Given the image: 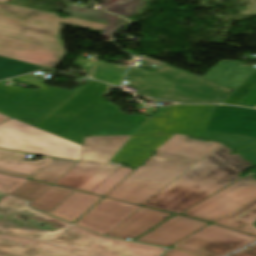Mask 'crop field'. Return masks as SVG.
<instances>
[{"label": "crop field", "instance_id": "obj_1", "mask_svg": "<svg viewBox=\"0 0 256 256\" xmlns=\"http://www.w3.org/2000/svg\"><path fill=\"white\" fill-rule=\"evenodd\" d=\"M66 24L103 31L106 24L0 3V56L53 69L66 54Z\"/></svg>", "mask_w": 256, "mask_h": 256}, {"label": "crop field", "instance_id": "obj_2", "mask_svg": "<svg viewBox=\"0 0 256 256\" xmlns=\"http://www.w3.org/2000/svg\"><path fill=\"white\" fill-rule=\"evenodd\" d=\"M112 87L89 81L35 127L82 145L85 136L134 135L150 119L128 116L106 102L104 94Z\"/></svg>", "mask_w": 256, "mask_h": 256}, {"label": "crop field", "instance_id": "obj_3", "mask_svg": "<svg viewBox=\"0 0 256 256\" xmlns=\"http://www.w3.org/2000/svg\"><path fill=\"white\" fill-rule=\"evenodd\" d=\"M230 153L220 144L143 205L182 213L237 181L251 163Z\"/></svg>", "mask_w": 256, "mask_h": 256}, {"label": "crop field", "instance_id": "obj_4", "mask_svg": "<svg viewBox=\"0 0 256 256\" xmlns=\"http://www.w3.org/2000/svg\"><path fill=\"white\" fill-rule=\"evenodd\" d=\"M218 144L174 135L157 149L159 152L151 160L139 166L107 197L141 205Z\"/></svg>", "mask_w": 256, "mask_h": 256}, {"label": "crop field", "instance_id": "obj_5", "mask_svg": "<svg viewBox=\"0 0 256 256\" xmlns=\"http://www.w3.org/2000/svg\"><path fill=\"white\" fill-rule=\"evenodd\" d=\"M124 82L146 90L149 96L185 103H219L232 91L170 66L154 72L132 67Z\"/></svg>", "mask_w": 256, "mask_h": 256}, {"label": "crop field", "instance_id": "obj_6", "mask_svg": "<svg viewBox=\"0 0 256 256\" xmlns=\"http://www.w3.org/2000/svg\"><path fill=\"white\" fill-rule=\"evenodd\" d=\"M78 237L79 234L64 232L55 238L64 241V243H56L46 239L45 236L9 233L0 230V243L2 244L40 249L25 253L23 256H160L165 251L162 248L107 237L104 238L132 249L131 255L122 254L106 245L97 246L89 250L94 247L95 243L80 240ZM0 256L18 255L0 254Z\"/></svg>", "mask_w": 256, "mask_h": 256}, {"label": "crop field", "instance_id": "obj_7", "mask_svg": "<svg viewBox=\"0 0 256 256\" xmlns=\"http://www.w3.org/2000/svg\"><path fill=\"white\" fill-rule=\"evenodd\" d=\"M14 79L37 85L40 89L9 87L0 83V112L32 126L75 94L73 91L45 85V80L29 75Z\"/></svg>", "mask_w": 256, "mask_h": 256}, {"label": "crop field", "instance_id": "obj_8", "mask_svg": "<svg viewBox=\"0 0 256 256\" xmlns=\"http://www.w3.org/2000/svg\"><path fill=\"white\" fill-rule=\"evenodd\" d=\"M82 147L13 118L0 124V148L79 161Z\"/></svg>", "mask_w": 256, "mask_h": 256}, {"label": "crop field", "instance_id": "obj_9", "mask_svg": "<svg viewBox=\"0 0 256 256\" xmlns=\"http://www.w3.org/2000/svg\"><path fill=\"white\" fill-rule=\"evenodd\" d=\"M205 138L219 140L233 149L256 143V110L217 105Z\"/></svg>", "mask_w": 256, "mask_h": 256}, {"label": "crop field", "instance_id": "obj_10", "mask_svg": "<svg viewBox=\"0 0 256 256\" xmlns=\"http://www.w3.org/2000/svg\"><path fill=\"white\" fill-rule=\"evenodd\" d=\"M254 172L210 196L199 204L183 212L208 221H216L238 207L256 198Z\"/></svg>", "mask_w": 256, "mask_h": 256}, {"label": "crop field", "instance_id": "obj_11", "mask_svg": "<svg viewBox=\"0 0 256 256\" xmlns=\"http://www.w3.org/2000/svg\"><path fill=\"white\" fill-rule=\"evenodd\" d=\"M254 241V236L211 224L174 247L200 256H223Z\"/></svg>", "mask_w": 256, "mask_h": 256}, {"label": "crop field", "instance_id": "obj_12", "mask_svg": "<svg viewBox=\"0 0 256 256\" xmlns=\"http://www.w3.org/2000/svg\"><path fill=\"white\" fill-rule=\"evenodd\" d=\"M138 208L105 198L76 224L106 235Z\"/></svg>", "mask_w": 256, "mask_h": 256}, {"label": "crop field", "instance_id": "obj_13", "mask_svg": "<svg viewBox=\"0 0 256 256\" xmlns=\"http://www.w3.org/2000/svg\"><path fill=\"white\" fill-rule=\"evenodd\" d=\"M207 224L209 223L177 215L136 241L169 247Z\"/></svg>", "mask_w": 256, "mask_h": 256}, {"label": "crop field", "instance_id": "obj_14", "mask_svg": "<svg viewBox=\"0 0 256 256\" xmlns=\"http://www.w3.org/2000/svg\"><path fill=\"white\" fill-rule=\"evenodd\" d=\"M170 215L172 214L141 207L107 235L135 239Z\"/></svg>", "mask_w": 256, "mask_h": 256}, {"label": "crop field", "instance_id": "obj_15", "mask_svg": "<svg viewBox=\"0 0 256 256\" xmlns=\"http://www.w3.org/2000/svg\"><path fill=\"white\" fill-rule=\"evenodd\" d=\"M131 136L86 138L81 153L82 162L106 164L110 162Z\"/></svg>", "mask_w": 256, "mask_h": 256}, {"label": "crop field", "instance_id": "obj_16", "mask_svg": "<svg viewBox=\"0 0 256 256\" xmlns=\"http://www.w3.org/2000/svg\"><path fill=\"white\" fill-rule=\"evenodd\" d=\"M26 154L0 149V171L31 178L53 159H44L37 162L23 160Z\"/></svg>", "mask_w": 256, "mask_h": 256}, {"label": "crop field", "instance_id": "obj_17", "mask_svg": "<svg viewBox=\"0 0 256 256\" xmlns=\"http://www.w3.org/2000/svg\"><path fill=\"white\" fill-rule=\"evenodd\" d=\"M252 70L235 61H220L202 77L234 89Z\"/></svg>", "mask_w": 256, "mask_h": 256}, {"label": "crop field", "instance_id": "obj_18", "mask_svg": "<svg viewBox=\"0 0 256 256\" xmlns=\"http://www.w3.org/2000/svg\"><path fill=\"white\" fill-rule=\"evenodd\" d=\"M102 197L75 191L50 214L73 223Z\"/></svg>", "mask_w": 256, "mask_h": 256}, {"label": "crop field", "instance_id": "obj_19", "mask_svg": "<svg viewBox=\"0 0 256 256\" xmlns=\"http://www.w3.org/2000/svg\"><path fill=\"white\" fill-rule=\"evenodd\" d=\"M255 221L256 199L215 223L256 235V227L252 225Z\"/></svg>", "mask_w": 256, "mask_h": 256}, {"label": "crop field", "instance_id": "obj_20", "mask_svg": "<svg viewBox=\"0 0 256 256\" xmlns=\"http://www.w3.org/2000/svg\"><path fill=\"white\" fill-rule=\"evenodd\" d=\"M21 210H28V211L37 213V214H39L41 216H44V217H46V218H48L50 220H53V221H55V222L65 226V229L60 230V231H56V232L10 231V230H6V229H2L3 231L46 235L47 238L51 239L52 241H57V242H62V241H58V240H55L53 238L56 237L57 235L61 234L62 232H64V231L75 232V233L81 234L80 239H84V240H88V241H91V242H95V243H97L96 245L106 244V245H109L111 247H114V248L118 249L119 251H121L123 253H127V254L131 253L130 249L122 248V247L116 245L115 243H113L111 241L102 239L104 236H101V235H98V234H94V233L82 230V229H80V228H78L76 226L68 225V224L63 223L61 221L55 220L56 218L53 219V218H51V217H49L47 215L41 214V213H39V212H37V211L27 207V206H25Z\"/></svg>", "mask_w": 256, "mask_h": 256}, {"label": "crop field", "instance_id": "obj_21", "mask_svg": "<svg viewBox=\"0 0 256 256\" xmlns=\"http://www.w3.org/2000/svg\"><path fill=\"white\" fill-rule=\"evenodd\" d=\"M103 166L104 165L78 162L54 184L77 189Z\"/></svg>", "mask_w": 256, "mask_h": 256}, {"label": "crop field", "instance_id": "obj_22", "mask_svg": "<svg viewBox=\"0 0 256 256\" xmlns=\"http://www.w3.org/2000/svg\"><path fill=\"white\" fill-rule=\"evenodd\" d=\"M71 192V190L51 186L29 205L39 211L48 213Z\"/></svg>", "mask_w": 256, "mask_h": 256}, {"label": "crop field", "instance_id": "obj_23", "mask_svg": "<svg viewBox=\"0 0 256 256\" xmlns=\"http://www.w3.org/2000/svg\"><path fill=\"white\" fill-rule=\"evenodd\" d=\"M77 162L59 160L55 159L52 163L46 166L38 174H36L32 179L40 180L43 182L53 184L61 176H63L71 167H73Z\"/></svg>", "mask_w": 256, "mask_h": 256}, {"label": "crop field", "instance_id": "obj_24", "mask_svg": "<svg viewBox=\"0 0 256 256\" xmlns=\"http://www.w3.org/2000/svg\"><path fill=\"white\" fill-rule=\"evenodd\" d=\"M45 69L43 67L0 57V79Z\"/></svg>", "mask_w": 256, "mask_h": 256}, {"label": "crop field", "instance_id": "obj_25", "mask_svg": "<svg viewBox=\"0 0 256 256\" xmlns=\"http://www.w3.org/2000/svg\"><path fill=\"white\" fill-rule=\"evenodd\" d=\"M48 187H50V185L29 180L16 191H14L12 194H10V196L31 202L43 191H45Z\"/></svg>", "mask_w": 256, "mask_h": 256}, {"label": "crop field", "instance_id": "obj_26", "mask_svg": "<svg viewBox=\"0 0 256 256\" xmlns=\"http://www.w3.org/2000/svg\"><path fill=\"white\" fill-rule=\"evenodd\" d=\"M120 166L121 164H117L113 162L106 164L103 168H101L96 174H94L88 181H86L78 189L91 192Z\"/></svg>", "mask_w": 256, "mask_h": 256}, {"label": "crop field", "instance_id": "obj_27", "mask_svg": "<svg viewBox=\"0 0 256 256\" xmlns=\"http://www.w3.org/2000/svg\"><path fill=\"white\" fill-rule=\"evenodd\" d=\"M256 86V71L247 78L223 103L237 105Z\"/></svg>", "mask_w": 256, "mask_h": 256}, {"label": "crop field", "instance_id": "obj_28", "mask_svg": "<svg viewBox=\"0 0 256 256\" xmlns=\"http://www.w3.org/2000/svg\"><path fill=\"white\" fill-rule=\"evenodd\" d=\"M133 169L120 167L110 177H108L103 183H101L92 193L104 196L109 190H111L119 181H121L128 173Z\"/></svg>", "mask_w": 256, "mask_h": 256}, {"label": "crop field", "instance_id": "obj_29", "mask_svg": "<svg viewBox=\"0 0 256 256\" xmlns=\"http://www.w3.org/2000/svg\"><path fill=\"white\" fill-rule=\"evenodd\" d=\"M26 181L28 180L0 173V191L9 195Z\"/></svg>", "mask_w": 256, "mask_h": 256}, {"label": "crop field", "instance_id": "obj_30", "mask_svg": "<svg viewBox=\"0 0 256 256\" xmlns=\"http://www.w3.org/2000/svg\"><path fill=\"white\" fill-rule=\"evenodd\" d=\"M32 250H36V249H29V248L9 246V245H1L0 244V253L23 255L25 252L32 251Z\"/></svg>", "mask_w": 256, "mask_h": 256}, {"label": "crop field", "instance_id": "obj_31", "mask_svg": "<svg viewBox=\"0 0 256 256\" xmlns=\"http://www.w3.org/2000/svg\"><path fill=\"white\" fill-rule=\"evenodd\" d=\"M246 159L256 164V144L241 149H237Z\"/></svg>", "mask_w": 256, "mask_h": 256}, {"label": "crop field", "instance_id": "obj_32", "mask_svg": "<svg viewBox=\"0 0 256 256\" xmlns=\"http://www.w3.org/2000/svg\"><path fill=\"white\" fill-rule=\"evenodd\" d=\"M238 105L256 107V87Z\"/></svg>", "mask_w": 256, "mask_h": 256}, {"label": "crop field", "instance_id": "obj_33", "mask_svg": "<svg viewBox=\"0 0 256 256\" xmlns=\"http://www.w3.org/2000/svg\"><path fill=\"white\" fill-rule=\"evenodd\" d=\"M25 205H26V202H23L14 198H10L7 200V202L3 206L20 210Z\"/></svg>", "mask_w": 256, "mask_h": 256}, {"label": "crop field", "instance_id": "obj_34", "mask_svg": "<svg viewBox=\"0 0 256 256\" xmlns=\"http://www.w3.org/2000/svg\"><path fill=\"white\" fill-rule=\"evenodd\" d=\"M163 256H197V255L172 247Z\"/></svg>", "mask_w": 256, "mask_h": 256}, {"label": "crop field", "instance_id": "obj_35", "mask_svg": "<svg viewBox=\"0 0 256 256\" xmlns=\"http://www.w3.org/2000/svg\"><path fill=\"white\" fill-rule=\"evenodd\" d=\"M233 256H256V244L253 247Z\"/></svg>", "mask_w": 256, "mask_h": 256}, {"label": "crop field", "instance_id": "obj_36", "mask_svg": "<svg viewBox=\"0 0 256 256\" xmlns=\"http://www.w3.org/2000/svg\"><path fill=\"white\" fill-rule=\"evenodd\" d=\"M9 118H10V117H8V116L3 115V114L0 113V123L3 122V121H5V120H7V119H9Z\"/></svg>", "mask_w": 256, "mask_h": 256}, {"label": "crop field", "instance_id": "obj_37", "mask_svg": "<svg viewBox=\"0 0 256 256\" xmlns=\"http://www.w3.org/2000/svg\"><path fill=\"white\" fill-rule=\"evenodd\" d=\"M140 94H144V95H148L147 93H146V91H144V90H141L140 89V92H139Z\"/></svg>", "mask_w": 256, "mask_h": 256}, {"label": "crop field", "instance_id": "obj_38", "mask_svg": "<svg viewBox=\"0 0 256 256\" xmlns=\"http://www.w3.org/2000/svg\"><path fill=\"white\" fill-rule=\"evenodd\" d=\"M6 1H8V0H0V2H6Z\"/></svg>", "mask_w": 256, "mask_h": 256}]
</instances>
